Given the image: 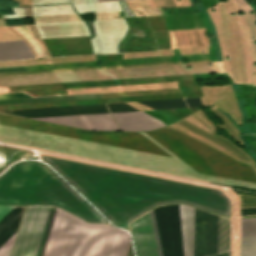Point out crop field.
I'll return each instance as SVG.
<instances>
[{
	"mask_svg": "<svg viewBox=\"0 0 256 256\" xmlns=\"http://www.w3.org/2000/svg\"><path fill=\"white\" fill-rule=\"evenodd\" d=\"M49 207H26L12 256H34ZM55 208H49L35 256H40ZM130 236L109 225L87 224L55 209L41 256H126Z\"/></svg>",
	"mask_w": 256,
	"mask_h": 256,
	"instance_id": "1",
	"label": "crop field"
},
{
	"mask_svg": "<svg viewBox=\"0 0 256 256\" xmlns=\"http://www.w3.org/2000/svg\"><path fill=\"white\" fill-rule=\"evenodd\" d=\"M10 114L24 116L28 118L64 116L90 113L109 112L106 104L98 105H82V106H66V107H50V108H34V109H18V110H2Z\"/></svg>",
	"mask_w": 256,
	"mask_h": 256,
	"instance_id": "2",
	"label": "crop field"
},
{
	"mask_svg": "<svg viewBox=\"0 0 256 256\" xmlns=\"http://www.w3.org/2000/svg\"><path fill=\"white\" fill-rule=\"evenodd\" d=\"M37 119L89 130H119L110 113Z\"/></svg>",
	"mask_w": 256,
	"mask_h": 256,
	"instance_id": "3",
	"label": "crop field"
},
{
	"mask_svg": "<svg viewBox=\"0 0 256 256\" xmlns=\"http://www.w3.org/2000/svg\"><path fill=\"white\" fill-rule=\"evenodd\" d=\"M137 256H158L150 219L147 213L131 223Z\"/></svg>",
	"mask_w": 256,
	"mask_h": 256,
	"instance_id": "4",
	"label": "crop field"
},
{
	"mask_svg": "<svg viewBox=\"0 0 256 256\" xmlns=\"http://www.w3.org/2000/svg\"><path fill=\"white\" fill-rule=\"evenodd\" d=\"M120 129L129 131L153 130L166 126L142 111L113 113ZM121 130V131H122Z\"/></svg>",
	"mask_w": 256,
	"mask_h": 256,
	"instance_id": "5",
	"label": "crop field"
},
{
	"mask_svg": "<svg viewBox=\"0 0 256 256\" xmlns=\"http://www.w3.org/2000/svg\"><path fill=\"white\" fill-rule=\"evenodd\" d=\"M184 256H193L194 209L179 205Z\"/></svg>",
	"mask_w": 256,
	"mask_h": 256,
	"instance_id": "6",
	"label": "crop field"
},
{
	"mask_svg": "<svg viewBox=\"0 0 256 256\" xmlns=\"http://www.w3.org/2000/svg\"><path fill=\"white\" fill-rule=\"evenodd\" d=\"M207 213L195 209L194 256H206Z\"/></svg>",
	"mask_w": 256,
	"mask_h": 256,
	"instance_id": "7",
	"label": "crop field"
},
{
	"mask_svg": "<svg viewBox=\"0 0 256 256\" xmlns=\"http://www.w3.org/2000/svg\"><path fill=\"white\" fill-rule=\"evenodd\" d=\"M175 256H183L178 204L165 206Z\"/></svg>",
	"mask_w": 256,
	"mask_h": 256,
	"instance_id": "8",
	"label": "crop field"
},
{
	"mask_svg": "<svg viewBox=\"0 0 256 256\" xmlns=\"http://www.w3.org/2000/svg\"><path fill=\"white\" fill-rule=\"evenodd\" d=\"M34 58L24 40L0 42V60Z\"/></svg>",
	"mask_w": 256,
	"mask_h": 256,
	"instance_id": "9",
	"label": "crop field"
},
{
	"mask_svg": "<svg viewBox=\"0 0 256 256\" xmlns=\"http://www.w3.org/2000/svg\"><path fill=\"white\" fill-rule=\"evenodd\" d=\"M154 212H155L159 236L161 240L163 255L174 256L165 208L164 206L158 207L154 209Z\"/></svg>",
	"mask_w": 256,
	"mask_h": 256,
	"instance_id": "10",
	"label": "crop field"
},
{
	"mask_svg": "<svg viewBox=\"0 0 256 256\" xmlns=\"http://www.w3.org/2000/svg\"><path fill=\"white\" fill-rule=\"evenodd\" d=\"M24 207H15L0 222V247L16 232Z\"/></svg>",
	"mask_w": 256,
	"mask_h": 256,
	"instance_id": "11",
	"label": "crop field"
},
{
	"mask_svg": "<svg viewBox=\"0 0 256 256\" xmlns=\"http://www.w3.org/2000/svg\"><path fill=\"white\" fill-rule=\"evenodd\" d=\"M219 216L208 213L207 256L218 253Z\"/></svg>",
	"mask_w": 256,
	"mask_h": 256,
	"instance_id": "12",
	"label": "crop field"
},
{
	"mask_svg": "<svg viewBox=\"0 0 256 256\" xmlns=\"http://www.w3.org/2000/svg\"><path fill=\"white\" fill-rule=\"evenodd\" d=\"M95 98H101L100 94L60 96V97H45V98H29V99H14V100H0V104L32 103V102H47V101L95 99Z\"/></svg>",
	"mask_w": 256,
	"mask_h": 256,
	"instance_id": "13",
	"label": "crop field"
},
{
	"mask_svg": "<svg viewBox=\"0 0 256 256\" xmlns=\"http://www.w3.org/2000/svg\"><path fill=\"white\" fill-rule=\"evenodd\" d=\"M153 110L188 107L184 99L139 102Z\"/></svg>",
	"mask_w": 256,
	"mask_h": 256,
	"instance_id": "14",
	"label": "crop field"
},
{
	"mask_svg": "<svg viewBox=\"0 0 256 256\" xmlns=\"http://www.w3.org/2000/svg\"><path fill=\"white\" fill-rule=\"evenodd\" d=\"M229 218L220 216L219 253L228 251L230 245Z\"/></svg>",
	"mask_w": 256,
	"mask_h": 256,
	"instance_id": "15",
	"label": "crop field"
},
{
	"mask_svg": "<svg viewBox=\"0 0 256 256\" xmlns=\"http://www.w3.org/2000/svg\"><path fill=\"white\" fill-rule=\"evenodd\" d=\"M242 256H256V236L243 237Z\"/></svg>",
	"mask_w": 256,
	"mask_h": 256,
	"instance_id": "16",
	"label": "crop field"
},
{
	"mask_svg": "<svg viewBox=\"0 0 256 256\" xmlns=\"http://www.w3.org/2000/svg\"><path fill=\"white\" fill-rule=\"evenodd\" d=\"M243 236L256 235V218L242 219Z\"/></svg>",
	"mask_w": 256,
	"mask_h": 256,
	"instance_id": "17",
	"label": "crop field"
},
{
	"mask_svg": "<svg viewBox=\"0 0 256 256\" xmlns=\"http://www.w3.org/2000/svg\"><path fill=\"white\" fill-rule=\"evenodd\" d=\"M111 112H119V111H133V110H137L134 109L132 107H130L129 105H127L126 103H116V104H108Z\"/></svg>",
	"mask_w": 256,
	"mask_h": 256,
	"instance_id": "18",
	"label": "crop field"
},
{
	"mask_svg": "<svg viewBox=\"0 0 256 256\" xmlns=\"http://www.w3.org/2000/svg\"><path fill=\"white\" fill-rule=\"evenodd\" d=\"M15 234L0 248V256H3L13 245ZM11 249L4 255L9 256Z\"/></svg>",
	"mask_w": 256,
	"mask_h": 256,
	"instance_id": "19",
	"label": "crop field"
},
{
	"mask_svg": "<svg viewBox=\"0 0 256 256\" xmlns=\"http://www.w3.org/2000/svg\"><path fill=\"white\" fill-rule=\"evenodd\" d=\"M190 107L202 106V103L199 98L186 99Z\"/></svg>",
	"mask_w": 256,
	"mask_h": 256,
	"instance_id": "20",
	"label": "crop field"
},
{
	"mask_svg": "<svg viewBox=\"0 0 256 256\" xmlns=\"http://www.w3.org/2000/svg\"><path fill=\"white\" fill-rule=\"evenodd\" d=\"M256 214V208L241 209V216Z\"/></svg>",
	"mask_w": 256,
	"mask_h": 256,
	"instance_id": "21",
	"label": "crop field"
},
{
	"mask_svg": "<svg viewBox=\"0 0 256 256\" xmlns=\"http://www.w3.org/2000/svg\"><path fill=\"white\" fill-rule=\"evenodd\" d=\"M12 98H18L16 93L0 94V99H12Z\"/></svg>",
	"mask_w": 256,
	"mask_h": 256,
	"instance_id": "22",
	"label": "crop field"
},
{
	"mask_svg": "<svg viewBox=\"0 0 256 256\" xmlns=\"http://www.w3.org/2000/svg\"><path fill=\"white\" fill-rule=\"evenodd\" d=\"M14 207H5V206H0V219Z\"/></svg>",
	"mask_w": 256,
	"mask_h": 256,
	"instance_id": "23",
	"label": "crop field"
},
{
	"mask_svg": "<svg viewBox=\"0 0 256 256\" xmlns=\"http://www.w3.org/2000/svg\"><path fill=\"white\" fill-rule=\"evenodd\" d=\"M215 256H229V252L223 253V254H219V255H215Z\"/></svg>",
	"mask_w": 256,
	"mask_h": 256,
	"instance_id": "24",
	"label": "crop field"
},
{
	"mask_svg": "<svg viewBox=\"0 0 256 256\" xmlns=\"http://www.w3.org/2000/svg\"><path fill=\"white\" fill-rule=\"evenodd\" d=\"M98 1H107V0H98Z\"/></svg>",
	"mask_w": 256,
	"mask_h": 256,
	"instance_id": "25",
	"label": "crop field"
}]
</instances>
